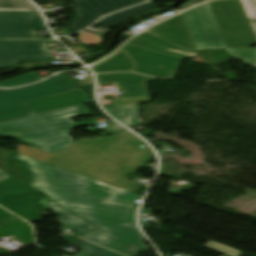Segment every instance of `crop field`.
Instances as JSON below:
<instances>
[{"label": "crop field", "instance_id": "5142ce71", "mask_svg": "<svg viewBox=\"0 0 256 256\" xmlns=\"http://www.w3.org/2000/svg\"><path fill=\"white\" fill-rule=\"evenodd\" d=\"M157 8L158 7H156L154 4L149 2V3L143 4V5L134 7V8L124 10V11L116 13L114 15H111V16L103 19L102 21L98 22L96 25H100L103 27L113 29V28L123 24L124 22H126L127 20H129L132 17H135L137 15L143 14L145 12H148L150 10L157 9Z\"/></svg>", "mask_w": 256, "mask_h": 256}, {"label": "crop field", "instance_id": "ac0d7876", "mask_svg": "<svg viewBox=\"0 0 256 256\" xmlns=\"http://www.w3.org/2000/svg\"><path fill=\"white\" fill-rule=\"evenodd\" d=\"M105 140L83 146H95L94 143ZM110 142L120 149L99 156L82 155L86 149L72 144L44 162L134 192L141 185L123 178L148 163L154 155L149 147L139 148L145 143L129 131L113 136Z\"/></svg>", "mask_w": 256, "mask_h": 256}, {"label": "crop field", "instance_id": "ae1a2a85", "mask_svg": "<svg viewBox=\"0 0 256 256\" xmlns=\"http://www.w3.org/2000/svg\"><path fill=\"white\" fill-rule=\"evenodd\" d=\"M203 1H205V0H193V1H191L190 3L187 2V3H186L185 5H183L182 7H184L185 9H187V8H189V7H191V6L195 5V4H198V3H200V2H203Z\"/></svg>", "mask_w": 256, "mask_h": 256}, {"label": "crop field", "instance_id": "733c2abd", "mask_svg": "<svg viewBox=\"0 0 256 256\" xmlns=\"http://www.w3.org/2000/svg\"><path fill=\"white\" fill-rule=\"evenodd\" d=\"M104 110L116 120L130 128L144 124L139 118L137 105L104 108Z\"/></svg>", "mask_w": 256, "mask_h": 256}, {"label": "crop field", "instance_id": "34b2d1b8", "mask_svg": "<svg viewBox=\"0 0 256 256\" xmlns=\"http://www.w3.org/2000/svg\"><path fill=\"white\" fill-rule=\"evenodd\" d=\"M90 114V110L81 105L0 122V135L20 139L22 144L55 154L72 144L73 128L89 124L88 121L74 124L70 119Z\"/></svg>", "mask_w": 256, "mask_h": 256}, {"label": "crop field", "instance_id": "eef30255", "mask_svg": "<svg viewBox=\"0 0 256 256\" xmlns=\"http://www.w3.org/2000/svg\"><path fill=\"white\" fill-rule=\"evenodd\" d=\"M16 219L19 218L0 208V224H4Z\"/></svg>", "mask_w": 256, "mask_h": 256}, {"label": "crop field", "instance_id": "28ad6ade", "mask_svg": "<svg viewBox=\"0 0 256 256\" xmlns=\"http://www.w3.org/2000/svg\"><path fill=\"white\" fill-rule=\"evenodd\" d=\"M147 0H74L75 19L67 26L72 32L90 26L101 16Z\"/></svg>", "mask_w": 256, "mask_h": 256}, {"label": "crop field", "instance_id": "00972430", "mask_svg": "<svg viewBox=\"0 0 256 256\" xmlns=\"http://www.w3.org/2000/svg\"><path fill=\"white\" fill-rule=\"evenodd\" d=\"M0 10H37L28 0H0Z\"/></svg>", "mask_w": 256, "mask_h": 256}, {"label": "crop field", "instance_id": "22f410ed", "mask_svg": "<svg viewBox=\"0 0 256 256\" xmlns=\"http://www.w3.org/2000/svg\"><path fill=\"white\" fill-rule=\"evenodd\" d=\"M87 102H89L87 96L80 89H76L53 96L25 102L23 104L26 105L35 114H39L81 105Z\"/></svg>", "mask_w": 256, "mask_h": 256}, {"label": "crop field", "instance_id": "730fd06b", "mask_svg": "<svg viewBox=\"0 0 256 256\" xmlns=\"http://www.w3.org/2000/svg\"><path fill=\"white\" fill-rule=\"evenodd\" d=\"M249 19H256V0H241Z\"/></svg>", "mask_w": 256, "mask_h": 256}, {"label": "crop field", "instance_id": "bc2a9ffb", "mask_svg": "<svg viewBox=\"0 0 256 256\" xmlns=\"http://www.w3.org/2000/svg\"><path fill=\"white\" fill-rule=\"evenodd\" d=\"M31 228L28 223L21 219L0 225V238L12 235L21 239L26 244L34 243L33 231Z\"/></svg>", "mask_w": 256, "mask_h": 256}, {"label": "crop field", "instance_id": "5a996713", "mask_svg": "<svg viewBox=\"0 0 256 256\" xmlns=\"http://www.w3.org/2000/svg\"><path fill=\"white\" fill-rule=\"evenodd\" d=\"M210 3L228 46L248 48L256 42L240 0H218Z\"/></svg>", "mask_w": 256, "mask_h": 256}, {"label": "crop field", "instance_id": "4a817a6b", "mask_svg": "<svg viewBox=\"0 0 256 256\" xmlns=\"http://www.w3.org/2000/svg\"><path fill=\"white\" fill-rule=\"evenodd\" d=\"M12 154L14 152L0 148V170L26 185L29 180L28 173L23 171V164L11 159Z\"/></svg>", "mask_w": 256, "mask_h": 256}, {"label": "crop field", "instance_id": "bd1437ed", "mask_svg": "<svg viewBox=\"0 0 256 256\" xmlns=\"http://www.w3.org/2000/svg\"><path fill=\"white\" fill-rule=\"evenodd\" d=\"M7 177H9V176L0 171V180L7 178Z\"/></svg>", "mask_w": 256, "mask_h": 256}, {"label": "crop field", "instance_id": "dafd665d", "mask_svg": "<svg viewBox=\"0 0 256 256\" xmlns=\"http://www.w3.org/2000/svg\"><path fill=\"white\" fill-rule=\"evenodd\" d=\"M127 131V130H125ZM124 132V131H123ZM116 135V134H115ZM103 138V137H102ZM107 138V140L105 142H102V143H97L96 146L97 147H79V148H89L88 150H86L85 153L83 154H92V155H99L101 154L102 152H109L113 149H116L117 147H115L112 143H110V139L112 138V136L110 137H105ZM101 138H96V139H79L77 140L75 143V145L79 146V145H82V144H85L86 142L88 141H95V140H99Z\"/></svg>", "mask_w": 256, "mask_h": 256}, {"label": "crop field", "instance_id": "3316defc", "mask_svg": "<svg viewBox=\"0 0 256 256\" xmlns=\"http://www.w3.org/2000/svg\"><path fill=\"white\" fill-rule=\"evenodd\" d=\"M136 64L132 71L164 78H173L182 58L125 44L121 48Z\"/></svg>", "mask_w": 256, "mask_h": 256}, {"label": "crop field", "instance_id": "92a150f3", "mask_svg": "<svg viewBox=\"0 0 256 256\" xmlns=\"http://www.w3.org/2000/svg\"><path fill=\"white\" fill-rule=\"evenodd\" d=\"M43 79L39 74L31 71L28 73H24L18 76H14L8 80L1 81L0 82V87L1 88H9L13 86H18V85H24V84H29L38 80Z\"/></svg>", "mask_w": 256, "mask_h": 256}, {"label": "crop field", "instance_id": "dd49c442", "mask_svg": "<svg viewBox=\"0 0 256 256\" xmlns=\"http://www.w3.org/2000/svg\"><path fill=\"white\" fill-rule=\"evenodd\" d=\"M127 44L185 58L198 53L182 14L145 31Z\"/></svg>", "mask_w": 256, "mask_h": 256}, {"label": "crop field", "instance_id": "d9b57169", "mask_svg": "<svg viewBox=\"0 0 256 256\" xmlns=\"http://www.w3.org/2000/svg\"><path fill=\"white\" fill-rule=\"evenodd\" d=\"M135 64L120 49L116 54L107 60L91 67L94 73H103L109 71H131Z\"/></svg>", "mask_w": 256, "mask_h": 256}, {"label": "crop field", "instance_id": "d1516ede", "mask_svg": "<svg viewBox=\"0 0 256 256\" xmlns=\"http://www.w3.org/2000/svg\"><path fill=\"white\" fill-rule=\"evenodd\" d=\"M97 76L98 83L114 82L119 85L123 94L118 95L124 100L113 101L114 106L138 104L149 100L146 81L154 78L140 76L134 73L100 74Z\"/></svg>", "mask_w": 256, "mask_h": 256}, {"label": "crop field", "instance_id": "4177f3b9", "mask_svg": "<svg viewBox=\"0 0 256 256\" xmlns=\"http://www.w3.org/2000/svg\"><path fill=\"white\" fill-rule=\"evenodd\" d=\"M204 246L212 248L214 250H217L219 252H222V253L230 255V256H240L241 255V252H239L235 249H232L230 247L221 245L219 243L213 242V241L208 242Z\"/></svg>", "mask_w": 256, "mask_h": 256}, {"label": "crop field", "instance_id": "d3111659", "mask_svg": "<svg viewBox=\"0 0 256 256\" xmlns=\"http://www.w3.org/2000/svg\"><path fill=\"white\" fill-rule=\"evenodd\" d=\"M62 239L66 240V241H68V242H70V243L77 242V241L81 240V239H79V238L76 237V236H73V237H71V238L65 237V238H62Z\"/></svg>", "mask_w": 256, "mask_h": 256}, {"label": "crop field", "instance_id": "8a807250", "mask_svg": "<svg viewBox=\"0 0 256 256\" xmlns=\"http://www.w3.org/2000/svg\"><path fill=\"white\" fill-rule=\"evenodd\" d=\"M30 188L101 229L82 238L127 256L146 251L134 219L137 204L87 197L85 185Z\"/></svg>", "mask_w": 256, "mask_h": 256}, {"label": "crop field", "instance_id": "412701ff", "mask_svg": "<svg viewBox=\"0 0 256 256\" xmlns=\"http://www.w3.org/2000/svg\"><path fill=\"white\" fill-rule=\"evenodd\" d=\"M46 29L37 11H0V69L20 62L50 60L47 40H5L36 38L35 30Z\"/></svg>", "mask_w": 256, "mask_h": 256}, {"label": "crop field", "instance_id": "214f88e0", "mask_svg": "<svg viewBox=\"0 0 256 256\" xmlns=\"http://www.w3.org/2000/svg\"><path fill=\"white\" fill-rule=\"evenodd\" d=\"M75 246L81 248L82 250L74 256H121L111 251L105 250L101 247H98L94 244H91L87 241H81L75 244Z\"/></svg>", "mask_w": 256, "mask_h": 256}, {"label": "crop field", "instance_id": "f4fd0767", "mask_svg": "<svg viewBox=\"0 0 256 256\" xmlns=\"http://www.w3.org/2000/svg\"><path fill=\"white\" fill-rule=\"evenodd\" d=\"M31 172L29 186L86 184L88 196L134 203L138 195L16 154Z\"/></svg>", "mask_w": 256, "mask_h": 256}, {"label": "crop field", "instance_id": "750c4746", "mask_svg": "<svg viewBox=\"0 0 256 256\" xmlns=\"http://www.w3.org/2000/svg\"><path fill=\"white\" fill-rule=\"evenodd\" d=\"M249 21H250L251 26H252V28L254 30L255 35H256V20H249Z\"/></svg>", "mask_w": 256, "mask_h": 256}, {"label": "crop field", "instance_id": "e52e79f7", "mask_svg": "<svg viewBox=\"0 0 256 256\" xmlns=\"http://www.w3.org/2000/svg\"><path fill=\"white\" fill-rule=\"evenodd\" d=\"M198 49H223L235 60L256 68V47L235 49L227 47L210 3H205L182 13Z\"/></svg>", "mask_w": 256, "mask_h": 256}, {"label": "crop field", "instance_id": "cbeb9de0", "mask_svg": "<svg viewBox=\"0 0 256 256\" xmlns=\"http://www.w3.org/2000/svg\"><path fill=\"white\" fill-rule=\"evenodd\" d=\"M39 204L44 205L41 210H49L52 209L59 215L57 216V221L62 223L63 225L69 227L71 230L76 232L75 234L79 237L90 234L96 230V227L92 226L88 222L80 219L69 211L53 204L48 199H40Z\"/></svg>", "mask_w": 256, "mask_h": 256}, {"label": "crop field", "instance_id": "a9b5d70f", "mask_svg": "<svg viewBox=\"0 0 256 256\" xmlns=\"http://www.w3.org/2000/svg\"><path fill=\"white\" fill-rule=\"evenodd\" d=\"M19 154H22V155H25L28 157H32V158H35V159H38L41 161H43L53 155V154H50V153H47V152H44L41 150H37V149L31 148V147H28V146H25L22 144H20V146H19Z\"/></svg>", "mask_w": 256, "mask_h": 256}, {"label": "crop field", "instance_id": "d8731c3e", "mask_svg": "<svg viewBox=\"0 0 256 256\" xmlns=\"http://www.w3.org/2000/svg\"><path fill=\"white\" fill-rule=\"evenodd\" d=\"M86 87L58 74L38 84L13 89L0 90V121L33 115L21 102Z\"/></svg>", "mask_w": 256, "mask_h": 256}]
</instances>
